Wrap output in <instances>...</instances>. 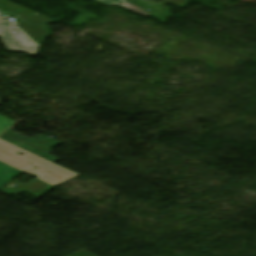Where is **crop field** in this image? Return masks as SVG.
<instances>
[{
  "mask_svg": "<svg viewBox=\"0 0 256 256\" xmlns=\"http://www.w3.org/2000/svg\"><path fill=\"white\" fill-rule=\"evenodd\" d=\"M15 151L24 155L19 156ZM0 161L56 187L79 175L0 139ZM29 162L33 163L32 165ZM33 166L39 168L38 170Z\"/></svg>",
  "mask_w": 256,
  "mask_h": 256,
  "instance_id": "1",
  "label": "crop field"
},
{
  "mask_svg": "<svg viewBox=\"0 0 256 256\" xmlns=\"http://www.w3.org/2000/svg\"><path fill=\"white\" fill-rule=\"evenodd\" d=\"M14 145H17L29 152H32L46 160L56 162L60 159L53 157L49 155L48 149L57 146L59 144H62L60 142H57L55 140H52L50 138H47L43 135L36 136L32 139H29L25 136H22L18 133H15L11 130H9L7 133H5L2 137H0Z\"/></svg>",
  "mask_w": 256,
  "mask_h": 256,
  "instance_id": "2",
  "label": "crop field"
},
{
  "mask_svg": "<svg viewBox=\"0 0 256 256\" xmlns=\"http://www.w3.org/2000/svg\"><path fill=\"white\" fill-rule=\"evenodd\" d=\"M0 36L8 51L25 52L31 55L38 52V49L14 22H0Z\"/></svg>",
  "mask_w": 256,
  "mask_h": 256,
  "instance_id": "3",
  "label": "crop field"
},
{
  "mask_svg": "<svg viewBox=\"0 0 256 256\" xmlns=\"http://www.w3.org/2000/svg\"><path fill=\"white\" fill-rule=\"evenodd\" d=\"M53 188L54 187L34 178L26 184L13 180L7 185H5L4 187H2L0 190L9 195L16 190L29 192L36 195L37 196L36 199H38L39 197L49 192Z\"/></svg>",
  "mask_w": 256,
  "mask_h": 256,
  "instance_id": "4",
  "label": "crop field"
},
{
  "mask_svg": "<svg viewBox=\"0 0 256 256\" xmlns=\"http://www.w3.org/2000/svg\"><path fill=\"white\" fill-rule=\"evenodd\" d=\"M21 173L22 172L0 162V188Z\"/></svg>",
  "mask_w": 256,
  "mask_h": 256,
  "instance_id": "5",
  "label": "crop field"
},
{
  "mask_svg": "<svg viewBox=\"0 0 256 256\" xmlns=\"http://www.w3.org/2000/svg\"><path fill=\"white\" fill-rule=\"evenodd\" d=\"M189 2L190 1H187V0H163L161 2L152 1V3L162 6V7H165L163 5L166 3H173L181 8H183ZM165 8L169 9L168 7H165Z\"/></svg>",
  "mask_w": 256,
  "mask_h": 256,
  "instance_id": "6",
  "label": "crop field"
},
{
  "mask_svg": "<svg viewBox=\"0 0 256 256\" xmlns=\"http://www.w3.org/2000/svg\"><path fill=\"white\" fill-rule=\"evenodd\" d=\"M16 122L9 120L7 118H4L2 116H0V131L2 134L4 131H6L9 127H11L12 125H14Z\"/></svg>",
  "mask_w": 256,
  "mask_h": 256,
  "instance_id": "7",
  "label": "crop field"
},
{
  "mask_svg": "<svg viewBox=\"0 0 256 256\" xmlns=\"http://www.w3.org/2000/svg\"><path fill=\"white\" fill-rule=\"evenodd\" d=\"M96 1H99V2L107 4V5H120V6H123V7H125V6L130 4V3H127V2H125L123 0H106L108 2H104L102 0H96ZM119 2H123V4H119Z\"/></svg>",
  "mask_w": 256,
  "mask_h": 256,
  "instance_id": "8",
  "label": "crop field"
},
{
  "mask_svg": "<svg viewBox=\"0 0 256 256\" xmlns=\"http://www.w3.org/2000/svg\"><path fill=\"white\" fill-rule=\"evenodd\" d=\"M125 8H126V9H128V10L134 11V12H136V13H139V14L145 15V16L150 15V14H148V13L144 12V10H143V9L138 8V7H136V6L132 5V4H131V5H129V6H127V7H125Z\"/></svg>",
  "mask_w": 256,
  "mask_h": 256,
  "instance_id": "9",
  "label": "crop field"
}]
</instances>
